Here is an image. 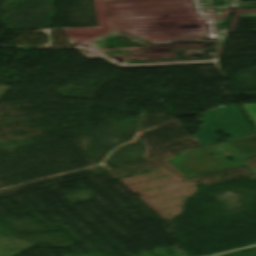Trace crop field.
I'll list each match as a JSON object with an SVG mask.
<instances>
[{"label": "crop field", "instance_id": "8a807250", "mask_svg": "<svg viewBox=\"0 0 256 256\" xmlns=\"http://www.w3.org/2000/svg\"><path fill=\"white\" fill-rule=\"evenodd\" d=\"M221 148L222 150H219ZM229 150H231L233 153L232 155L227 156L234 159L233 161L226 160L221 154V152ZM210 153H216L219 155V157L211 156ZM168 161L174 164L188 178L245 164L241 161L238 154L226 142L180 153L179 157L169 159Z\"/></svg>", "mask_w": 256, "mask_h": 256}, {"label": "crop field", "instance_id": "ac0d7876", "mask_svg": "<svg viewBox=\"0 0 256 256\" xmlns=\"http://www.w3.org/2000/svg\"><path fill=\"white\" fill-rule=\"evenodd\" d=\"M208 113L209 114H206L205 117L207 118L214 132L223 130L225 135H231L232 138L226 139L225 141L254 134L252 128L236 104L227 107H219L217 109L208 111ZM217 118L220 120H217ZM233 127L236 128V131L233 129Z\"/></svg>", "mask_w": 256, "mask_h": 256}, {"label": "crop field", "instance_id": "34b2d1b8", "mask_svg": "<svg viewBox=\"0 0 256 256\" xmlns=\"http://www.w3.org/2000/svg\"><path fill=\"white\" fill-rule=\"evenodd\" d=\"M227 143L240 155L242 159L256 155V135L228 141Z\"/></svg>", "mask_w": 256, "mask_h": 256}, {"label": "crop field", "instance_id": "412701ff", "mask_svg": "<svg viewBox=\"0 0 256 256\" xmlns=\"http://www.w3.org/2000/svg\"><path fill=\"white\" fill-rule=\"evenodd\" d=\"M201 120L203 122L202 129L195 136H193V138L201 147L216 144V140H218V138L216 137L209 123L205 118Z\"/></svg>", "mask_w": 256, "mask_h": 256}, {"label": "crop field", "instance_id": "f4fd0767", "mask_svg": "<svg viewBox=\"0 0 256 256\" xmlns=\"http://www.w3.org/2000/svg\"><path fill=\"white\" fill-rule=\"evenodd\" d=\"M256 127V104L241 105ZM256 132V129L254 130Z\"/></svg>", "mask_w": 256, "mask_h": 256}]
</instances>
